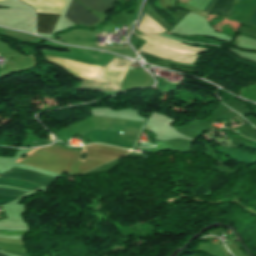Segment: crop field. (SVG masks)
<instances>
[{"mask_svg":"<svg viewBox=\"0 0 256 256\" xmlns=\"http://www.w3.org/2000/svg\"><path fill=\"white\" fill-rule=\"evenodd\" d=\"M249 23L256 25V10H255V12H254V14H253V16H252V18H251Z\"/></svg>","mask_w":256,"mask_h":256,"instance_id":"22f410ed","label":"crop field"},{"mask_svg":"<svg viewBox=\"0 0 256 256\" xmlns=\"http://www.w3.org/2000/svg\"><path fill=\"white\" fill-rule=\"evenodd\" d=\"M137 30L143 34H154L165 32L161 27H159L151 18L144 14Z\"/></svg>","mask_w":256,"mask_h":256,"instance_id":"e52e79f7","label":"crop field"},{"mask_svg":"<svg viewBox=\"0 0 256 256\" xmlns=\"http://www.w3.org/2000/svg\"><path fill=\"white\" fill-rule=\"evenodd\" d=\"M1 1H5V0H0V2H1Z\"/></svg>","mask_w":256,"mask_h":256,"instance_id":"733c2abd","label":"crop field"},{"mask_svg":"<svg viewBox=\"0 0 256 256\" xmlns=\"http://www.w3.org/2000/svg\"><path fill=\"white\" fill-rule=\"evenodd\" d=\"M0 256H5L4 254L0 253Z\"/></svg>","mask_w":256,"mask_h":256,"instance_id":"5142ce71","label":"crop field"},{"mask_svg":"<svg viewBox=\"0 0 256 256\" xmlns=\"http://www.w3.org/2000/svg\"><path fill=\"white\" fill-rule=\"evenodd\" d=\"M137 37L148 40L139 48V50L180 63L192 64L196 55L191 53H197L205 50V48L191 47L182 43L174 42L159 35Z\"/></svg>","mask_w":256,"mask_h":256,"instance_id":"ac0d7876","label":"crop field"},{"mask_svg":"<svg viewBox=\"0 0 256 256\" xmlns=\"http://www.w3.org/2000/svg\"><path fill=\"white\" fill-rule=\"evenodd\" d=\"M59 16L37 15V32L51 33Z\"/></svg>","mask_w":256,"mask_h":256,"instance_id":"dd49c442","label":"crop field"},{"mask_svg":"<svg viewBox=\"0 0 256 256\" xmlns=\"http://www.w3.org/2000/svg\"><path fill=\"white\" fill-rule=\"evenodd\" d=\"M43 58L48 62L58 64L70 72L74 78L85 79L81 83L80 89H92L96 91H120V82L130 64L129 62L114 58L102 68L69 59L45 55H43Z\"/></svg>","mask_w":256,"mask_h":256,"instance_id":"8a807250","label":"crop field"},{"mask_svg":"<svg viewBox=\"0 0 256 256\" xmlns=\"http://www.w3.org/2000/svg\"><path fill=\"white\" fill-rule=\"evenodd\" d=\"M82 5L104 14V12L116 1V0H78Z\"/></svg>","mask_w":256,"mask_h":256,"instance_id":"d8731c3e","label":"crop field"},{"mask_svg":"<svg viewBox=\"0 0 256 256\" xmlns=\"http://www.w3.org/2000/svg\"><path fill=\"white\" fill-rule=\"evenodd\" d=\"M65 18L71 23L76 24L91 25L98 21L92 14L74 0L71 1Z\"/></svg>","mask_w":256,"mask_h":256,"instance_id":"f4fd0767","label":"crop field"},{"mask_svg":"<svg viewBox=\"0 0 256 256\" xmlns=\"http://www.w3.org/2000/svg\"><path fill=\"white\" fill-rule=\"evenodd\" d=\"M16 199L15 197H4V196H0V205H4L9 203L10 201Z\"/></svg>","mask_w":256,"mask_h":256,"instance_id":"d1516ede","label":"crop field"},{"mask_svg":"<svg viewBox=\"0 0 256 256\" xmlns=\"http://www.w3.org/2000/svg\"><path fill=\"white\" fill-rule=\"evenodd\" d=\"M0 177L21 179V180L45 185L48 187L56 180V178H52L49 176H45V175L37 174L28 170L17 169V168H12L0 174Z\"/></svg>","mask_w":256,"mask_h":256,"instance_id":"34b2d1b8","label":"crop field"},{"mask_svg":"<svg viewBox=\"0 0 256 256\" xmlns=\"http://www.w3.org/2000/svg\"><path fill=\"white\" fill-rule=\"evenodd\" d=\"M231 4L232 0H218L211 13L227 17Z\"/></svg>","mask_w":256,"mask_h":256,"instance_id":"3316defc","label":"crop field"},{"mask_svg":"<svg viewBox=\"0 0 256 256\" xmlns=\"http://www.w3.org/2000/svg\"><path fill=\"white\" fill-rule=\"evenodd\" d=\"M216 0H211V2L209 3V5L206 7L205 11L209 12L210 8L212 7V5L215 3Z\"/></svg>","mask_w":256,"mask_h":256,"instance_id":"cbeb9de0","label":"crop field"},{"mask_svg":"<svg viewBox=\"0 0 256 256\" xmlns=\"http://www.w3.org/2000/svg\"><path fill=\"white\" fill-rule=\"evenodd\" d=\"M0 185L13 186L23 189L35 190L39 185L31 184L28 182L15 180V179H0Z\"/></svg>","mask_w":256,"mask_h":256,"instance_id":"5a996713","label":"crop field"},{"mask_svg":"<svg viewBox=\"0 0 256 256\" xmlns=\"http://www.w3.org/2000/svg\"><path fill=\"white\" fill-rule=\"evenodd\" d=\"M26 192L12 189V188H0V195H8V196H20Z\"/></svg>","mask_w":256,"mask_h":256,"instance_id":"28ad6ade","label":"crop field"},{"mask_svg":"<svg viewBox=\"0 0 256 256\" xmlns=\"http://www.w3.org/2000/svg\"><path fill=\"white\" fill-rule=\"evenodd\" d=\"M146 128H147L149 131H151L149 127H146Z\"/></svg>","mask_w":256,"mask_h":256,"instance_id":"d9b57169","label":"crop field"},{"mask_svg":"<svg viewBox=\"0 0 256 256\" xmlns=\"http://www.w3.org/2000/svg\"><path fill=\"white\" fill-rule=\"evenodd\" d=\"M37 14L59 15L66 0H22Z\"/></svg>","mask_w":256,"mask_h":256,"instance_id":"412701ff","label":"crop field"}]
</instances>
